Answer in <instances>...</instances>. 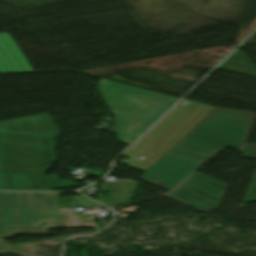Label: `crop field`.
<instances>
[{
    "label": "crop field",
    "mask_w": 256,
    "mask_h": 256,
    "mask_svg": "<svg viewBox=\"0 0 256 256\" xmlns=\"http://www.w3.org/2000/svg\"><path fill=\"white\" fill-rule=\"evenodd\" d=\"M98 88L115 115L120 142L132 143L179 98L101 78Z\"/></svg>",
    "instance_id": "obj_2"
},
{
    "label": "crop field",
    "mask_w": 256,
    "mask_h": 256,
    "mask_svg": "<svg viewBox=\"0 0 256 256\" xmlns=\"http://www.w3.org/2000/svg\"><path fill=\"white\" fill-rule=\"evenodd\" d=\"M6 190H30L28 176L4 173Z\"/></svg>",
    "instance_id": "obj_11"
},
{
    "label": "crop field",
    "mask_w": 256,
    "mask_h": 256,
    "mask_svg": "<svg viewBox=\"0 0 256 256\" xmlns=\"http://www.w3.org/2000/svg\"><path fill=\"white\" fill-rule=\"evenodd\" d=\"M222 146L184 137L139 179L171 190Z\"/></svg>",
    "instance_id": "obj_5"
},
{
    "label": "crop field",
    "mask_w": 256,
    "mask_h": 256,
    "mask_svg": "<svg viewBox=\"0 0 256 256\" xmlns=\"http://www.w3.org/2000/svg\"><path fill=\"white\" fill-rule=\"evenodd\" d=\"M213 109L183 99L125 153L129 167L146 171Z\"/></svg>",
    "instance_id": "obj_3"
},
{
    "label": "crop field",
    "mask_w": 256,
    "mask_h": 256,
    "mask_svg": "<svg viewBox=\"0 0 256 256\" xmlns=\"http://www.w3.org/2000/svg\"><path fill=\"white\" fill-rule=\"evenodd\" d=\"M0 171H1V168H0Z\"/></svg>",
    "instance_id": "obj_13"
},
{
    "label": "crop field",
    "mask_w": 256,
    "mask_h": 256,
    "mask_svg": "<svg viewBox=\"0 0 256 256\" xmlns=\"http://www.w3.org/2000/svg\"><path fill=\"white\" fill-rule=\"evenodd\" d=\"M4 172L29 175L31 190L70 187V181L46 176L45 165L56 162L53 138L0 133Z\"/></svg>",
    "instance_id": "obj_4"
},
{
    "label": "crop field",
    "mask_w": 256,
    "mask_h": 256,
    "mask_svg": "<svg viewBox=\"0 0 256 256\" xmlns=\"http://www.w3.org/2000/svg\"><path fill=\"white\" fill-rule=\"evenodd\" d=\"M0 190H4L3 183H2L1 173H0Z\"/></svg>",
    "instance_id": "obj_12"
},
{
    "label": "crop field",
    "mask_w": 256,
    "mask_h": 256,
    "mask_svg": "<svg viewBox=\"0 0 256 256\" xmlns=\"http://www.w3.org/2000/svg\"><path fill=\"white\" fill-rule=\"evenodd\" d=\"M0 132L46 137L60 136L48 113L0 121Z\"/></svg>",
    "instance_id": "obj_8"
},
{
    "label": "crop field",
    "mask_w": 256,
    "mask_h": 256,
    "mask_svg": "<svg viewBox=\"0 0 256 256\" xmlns=\"http://www.w3.org/2000/svg\"><path fill=\"white\" fill-rule=\"evenodd\" d=\"M24 71H32V69L9 35L0 34V72Z\"/></svg>",
    "instance_id": "obj_9"
},
{
    "label": "crop field",
    "mask_w": 256,
    "mask_h": 256,
    "mask_svg": "<svg viewBox=\"0 0 256 256\" xmlns=\"http://www.w3.org/2000/svg\"><path fill=\"white\" fill-rule=\"evenodd\" d=\"M42 221L47 224L40 226ZM93 227L73 209H58V192H0V237L47 233V228Z\"/></svg>",
    "instance_id": "obj_1"
},
{
    "label": "crop field",
    "mask_w": 256,
    "mask_h": 256,
    "mask_svg": "<svg viewBox=\"0 0 256 256\" xmlns=\"http://www.w3.org/2000/svg\"><path fill=\"white\" fill-rule=\"evenodd\" d=\"M218 68L256 77V66L240 50H237Z\"/></svg>",
    "instance_id": "obj_10"
},
{
    "label": "crop field",
    "mask_w": 256,
    "mask_h": 256,
    "mask_svg": "<svg viewBox=\"0 0 256 256\" xmlns=\"http://www.w3.org/2000/svg\"><path fill=\"white\" fill-rule=\"evenodd\" d=\"M255 119V112L215 108L186 136L242 151Z\"/></svg>",
    "instance_id": "obj_6"
},
{
    "label": "crop field",
    "mask_w": 256,
    "mask_h": 256,
    "mask_svg": "<svg viewBox=\"0 0 256 256\" xmlns=\"http://www.w3.org/2000/svg\"><path fill=\"white\" fill-rule=\"evenodd\" d=\"M225 187V185L195 172L170 196L203 210H210L218 207Z\"/></svg>",
    "instance_id": "obj_7"
}]
</instances>
